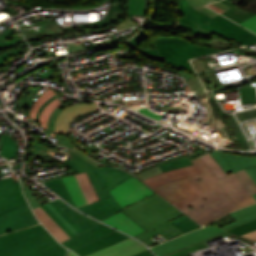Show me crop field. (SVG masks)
<instances>
[{
  "instance_id": "e52e79f7",
  "label": "crop field",
  "mask_w": 256,
  "mask_h": 256,
  "mask_svg": "<svg viewBox=\"0 0 256 256\" xmlns=\"http://www.w3.org/2000/svg\"><path fill=\"white\" fill-rule=\"evenodd\" d=\"M223 232H226V231L219 229L217 227H205L200 230H196L188 234H185L183 236H180L178 238H175L166 243L152 247L150 249L154 251L158 256H163L171 252H174L176 250H179L181 248L192 245L194 243L205 240L207 238L221 234Z\"/></svg>"
},
{
  "instance_id": "d9b57169",
  "label": "crop field",
  "mask_w": 256,
  "mask_h": 256,
  "mask_svg": "<svg viewBox=\"0 0 256 256\" xmlns=\"http://www.w3.org/2000/svg\"><path fill=\"white\" fill-rule=\"evenodd\" d=\"M113 231L114 230L99 223L94 227L90 228L89 230L71 238L70 240L62 244L73 250Z\"/></svg>"
},
{
  "instance_id": "0bd39190",
  "label": "crop field",
  "mask_w": 256,
  "mask_h": 256,
  "mask_svg": "<svg viewBox=\"0 0 256 256\" xmlns=\"http://www.w3.org/2000/svg\"><path fill=\"white\" fill-rule=\"evenodd\" d=\"M236 174L240 178V180L244 183V185L247 187V189L250 191L251 194L256 193V184L251 179V177L246 173L245 170L236 172Z\"/></svg>"
},
{
  "instance_id": "120bbe31",
  "label": "crop field",
  "mask_w": 256,
  "mask_h": 256,
  "mask_svg": "<svg viewBox=\"0 0 256 256\" xmlns=\"http://www.w3.org/2000/svg\"><path fill=\"white\" fill-rule=\"evenodd\" d=\"M229 234H231V233L226 232L224 234H221V235H218L216 237L210 238L208 240L202 241L200 243L194 244V245H192V247L189 246L187 248H184L182 250L176 251V252L171 253V254L166 255V256H187V252H189V251H193V250H197V249H200V248H204L205 247L204 243L212 241V240H215L217 238H220V237H223V236H226V235H229Z\"/></svg>"
},
{
  "instance_id": "00972430",
  "label": "crop field",
  "mask_w": 256,
  "mask_h": 256,
  "mask_svg": "<svg viewBox=\"0 0 256 256\" xmlns=\"http://www.w3.org/2000/svg\"><path fill=\"white\" fill-rule=\"evenodd\" d=\"M62 180L77 207L88 203L74 175L63 177Z\"/></svg>"
},
{
  "instance_id": "d32e631a",
  "label": "crop field",
  "mask_w": 256,
  "mask_h": 256,
  "mask_svg": "<svg viewBox=\"0 0 256 256\" xmlns=\"http://www.w3.org/2000/svg\"><path fill=\"white\" fill-rule=\"evenodd\" d=\"M61 103L59 102V100L56 98L54 99L52 102H50L45 109L41 112L40 114V125L42 127L45 128V130L48 132L47 130V120L50 116V114L52 113V111L57 108Z\"/></svg>"
},
{
  "instance_id": "1f2cbd36",
  "label": "crop field",
  "mask_w": 256,
  "mask_h": 256,
  "mask_svg": "<svg viewBox=\"0 0 256 256\" xmlns=\"http://www.w3.org/2000/svg\"><path fill=\"white\" fill-rule=\"evenodd\" d=\"M69 151L73 152L74 154L78 155L79 157L83 158L84 160H86L87 162L91 163L92 165H94L96 167L101 165V164L93 161L92 159H90L88 156H86L85 154H83L82 152H80L77 149H72V150H69Z\"/></svg>"
},
{
  "instance_id": "dafd665d",
  "label": "crop field",
  "mask_w": 256,
  "mask_h": 256,
  "mask_svg": "<svg viewBox=\"0 0 256 256\" xmlns=\"http://www.w3.org/2000/svg\"><path fill=\"white\" fill-rule=\"evenodd\" d=\"M120 15H121L120 7L112 6L108 15L100 21H96V22L88 23V24L70 26V27H63L62 29L65 32V31L71 30L73 28H89V29L103 28V27H106V26L112 24L113 22L119 20Z\"/></svg>"
},
{
  "instance_id": "733c2abd",
  "label": "crop field",
  "mask_w": 256,
  "mask_h": 256,
  "mask_svg": "<svg viewBox=\"0 0 256 256\" xmlns=\"http://www.w3.org/2000/svg\"><path fill=\"white\" fill-rule=\"evenodd\" d=\"M201 173V171L195 166H189L177 170L168 171L166 173L157 174L149 179L143 180L152 188L167 183L169 181L184 178L186 176Z\"/></svg>"
},
{
  "instance_id": "dbb93151",
  "label": "crop field",
  "mask_w": 256,
  "mask_h": 256,
  "mask_svg": "<svg viewBox=\"0 0 256 256\" xmlns=\"http://www.w3.org/2000/svg\"><path fill=\"white\" fill-rule=\"evenodd\" d=\"M136 25H138V24H136V23H134L133 21H131V20H129V19L126 18L123 23H121V24H119V25H117V26H115V27H116L117 31H119V30H121V29L130 28L131 26L134 27V26H136Z\"/></svg>"
},
{
  "instance_id": "34b2d1b8",
  "label": "crop field",
  "mask_w": 256,
  "mask_h": 256,
  "mask_svg": "<svg viewBox=\"0 0 256 256\" xmlns=\"http://www.w3.org/2000/svg\"><path fill=\"white\" fill-rule=\"evenodd\" d=\"M66 251L41 224L0 236V256H64Z\"/></svg>"
},
{
  "instance_id": "8a807250",
  "label": "crop field",
  "mask_w": 256,
  "mask_h": 256,
  "mask_svg": "<svg viewBox=\"0 0 256 256\" xmlns=\"http://www.w3.org/2000/svg\"><path fill=\"white\" fill-rule=\"evenodd\" d=\"M203 173L155 188L200 224L256 203L235 173L219 179L200 158L192 161ZM201 181L197 182L196 180Z\"/></svg>"
},
{
  "instance_id": "7b73153f",
  "label": "crop field",
  "mask_w": 256,
  "mask_h": 256,
  "mask_svg": "<svg viewBox=\"0 0 256 256\" xmlns=\"http://www.w3.org/2000/svg\"><path fill=\"white\" fill-rule=\"evenodd\" d=\"M19 40H20V38H15V39H11V40L6 41V42H2V43H0V47L6 46L7 44H11V43L19 41Z\"/></svg>"
},
{
  "instance_id": "25e5ab78",
  "label": "crop field",
  "mask_w": 256,
  "mask_h": 256,
  "mask_svg": "<svg viewBox=\"0 0 256 256\" xmlns=\"http://www.w3.org/2000/svg\"><path fill=\"white\" fill-rule=\"evenodd\" d=\"M19 50H20V48H18V49H16V50H13V51H9V52H7V53H5V54L0 55V65L6 64L5 61H6L8 58L17 56V54L19 53Z\"/></svg>"
},
{
  "instance_id": "412701ff",
  "label": "crop field",
  "mask_w": 256,
  "mask_h": 256,
  "mask_svg": "<svg viewBox=\"0 0 256 256\" xmlns=\"http://www.w3.org/2000/svg\"><path fill=\"white\" fill-rule=\"evenodd\" d=\"M67 154L68 160L65 163L79 173L84 171L87 172L100 200L110 196L109 189L117 186V184L132 176L129 173L114 167L102 166L96 168L68 151Z\"/></svg>"
},
{
  "instance_id": "d1516ede",
  "label": "crop field",
  "mask_w": 256,
  "mask_h": 256,
  "mask_svg": "<svg viewBox=\"0 0 256 256\" xmlns=\"http://www.w3.org/2000/svg\"><path fill=\"white\" fill-rule=\"evenodd\" d=\"M210 154L227 175L241 170L242 168L256 166V158L238 155L232 156L218 150L210 152Z\"/></svg>"
},
{
  "instance_id": "89e229c0",
  "label": "crop field",
  "mask_w": 256,
  "mask_h": 256,
  "mask_svg": "<svg viewBox=\"0 0 256 256\" xmlns=\"http://www.w3.org/2000/svg\"><path fill=\"white\" fill-rule=\"evenodd\" d=\"M56 138L60 141V143L67 148H74L75 146L68 140L66 135H60V134H55Z\"/></svg>"
},
{
  "instance_id": "c21b1889",
  "label": "crop field",
  "mask_w": 256,
  "mask_h": 256,
  "mask_svg": "<svg viewBox=\"0 0 256 256\" xmlns=\"http://www.w3.org/2000/svg\"><path fill=\"white\" fill-rule=\"evenodd\" d=\"M41 207L51 216V218L71 237L75 236L68 227L45 205Z\"/></svg>"
},
{
  "instance_id": "0fb4a251",
  "label": "crop field",
  "mask_w": 256,
  "mask_h": 256,
  "mask_svg": "<svg viewBox=\"0 0 256 256\" xmlns=\"http://www.w3.org/2000/svg\"><path fill=\"white\" fill-rule=\"evenodd\" d=\"M66 45H67V47H68L70 53L78 52V51L84 50L81 44L76 45L75 42L68 43V44H66Z\"/></svg>"
},
{
  "instance_id": "e1f06a70",
  "label": "crop field",
  "mask_w": 256,
  "mask_h": 256,
  "mask_svg": "<svg viewBox=\"0 0 256 256\" xmlns=\"http://www.w3.org/2000/svg\"><path fill=\"white\" fill-rule=\"evenodd\" d=\"M227 230L237 235H241V234L256 230V220L241 224L239 226H236Z\"/></svg>"
},
{
  "instance_id": "ae1a2a85",
  "label": "crop field",
  "mask_w": 256,
  "mask_h": 256,
  "mask_svg": "<svg viewBox=\"0 0 256 256\" xmlns=\"http://www.w3.org/2000/svg\"><path fill=\"white\" fill-rule=\"evenodd\" d=\"M0 138L3 144L1 156L7 159L16 158L18 145L14 138H10L7 135H2Z\"/></svg>"
},
{
  "instance_id": "ac0d7876",
  "label": "crop field",
  "mask_w": 256,
  "mask_h": 256,
  "mask_svg": "<svg viewBox=\"0 0 256 256\" xmlns=\"http://www.w3.org/2000/svg\"><path fill=\"white\" fill-rule=\"evenodd\" d=\"M125 209L121 212L147 230L136 237L149 246L156 245L151 238L158 234L167 240L184 234L168 222L183 213L157 193Z\"/></svg>"
},
{
  "instance_id": "dd49c442",
  "label": "crop field",
  "mask_w": 256,
  "mask_h": 256,
  "mask_svg": "<svg viewBox=\"0 0 256 256\" xmlns=\"http://www.w3.org/2000/svg\"><path fill=\"white\" fill-rule=\"evenodd\" d=\"M199 28L228 36L245 46L256 43V35L254 33L242 28L221 15L201 24Z\"/></svg>"
},
{
  "instance_id": "92a150f3",
  "label": "crop field",
  "mask_w": 256,
  "mask_h": 256,
  "mask_svg": "<svg viewBox=\"0 0 256 256\" xmlns=\"http://www.w3.org/2000/svg\"><path fill=\"white\" fill-rule=\"evenodd\" d=\"M39 221L54 235L61 243L69 239L68 235L50 218V216L39 206L33 209Z\"/></svg>"
},
{
  "instance_id": "cbeb9de0",
  "label": "crop field",
  "mask_w": 256,
  "mask_h": 256,
  "mask_svg": "<svg viewBox=\"0 0 256 256\" xmlns=\"http://www.w3.org/2000/svg\"><path fill=\"white\" fill-rule=\"evenodd\" d=\"M144 249V245L129 238L87 256H130Z\"/></svg>"
},
{
  "instance_id": "5a996713",
  "label": "crop field",
  "mask_w": 256,
  "mask_h": 256,
  "mask_svg": "<svg viewBox=\"0 0 256 256\" xmlns=\"http://www.w3.org/2000/svg\"><path fill=\"white\" fill-rule=\"evenodd\" d=\"M39 223L29 205H25L0 217V234Z\"/></svg>"
},
{
  "instance_id": "ae633e8c",
  "label": "crop field",
  "mask_w": 256,
  "mask_h": 256,
  "mask_svg": "<svg viewBox=\"0 0 256 256\" xmlns=\"http://www.w3.org/2000/svg\"><path fill=\"white\" fill-rule=\"evenodd\" d=\"M67 256H77V255L69 251Z\"/></svg>"
},
{
  "instance_id": "b54c1fbb",
  "label": "crop field",
  "mask_w": 256,
  "mask_h": 256,
  "mask_svg": "<svg viewBox=\"0 0 256 256\" xmlns=\"http://www.w3.org/2000/svg\"><path fill=\"white\" fill-rule=\"evenodd\" d=\"M190 88L192 91H203L204 88L197 76H192L190 79L187 80Z\"/></svg>"
},
{
  "instance_id": "1d83c4d3",
  "label": "crop field",
  "mask_w": 256,
  "mask_h": 256,
  "mask_svg": "<svg viewBox=\"0 0 256 256\" xmlns=\"http://www.w3.org/2000/svg\"><path fill=\"white\" fill-rule=\"evenodd\" d=\"M54 94L55 90L48 88L40 97L37 98L36 102L32 105L29 116H31L35 120L38 109Z\"/></svg>"
},
{
  "instance_id": "eef30255",
  "label": "crop field",
  "mask_w": 256,
  "mask_h": 256,
  "mask_svg": "<svg viewBox=\"0 0 256 256\" xmlns=\"http://www.w3.org/2000/svg\"><path fill=\"white\" fill-rule=\"evenodd\" d=\"M75 176H76L88 202L92 203V202L99 200L86 173L84 172L81 174H76Z\"/></svg>"
},
{
  "instance_id": "4177f3b9",
  "label": "crop field",
  "mask_w": 256,
  "mask_h": 256,
  "mask_svg": "<svg viewBox=\"0 0 256 256\" xmlns=\"http://www.w3.org/2000/svg\"><path fill=\"white\" fill-rule=\"evenodd\" d=\"M230 215L237 221L222 227L223 229H227L241 223L256 219V204L237 210Z\"/></svg>"
},
{
  "instance_id": "bc2a9ffb",
  "label": "crop field",
  "mask_w": 256,
  "mask_h": 256,
  "mask_svg": "<svg viewBox=\"0 0 256 256\" xmlns=\"http://www.w3.org/2000/svg\"><path fill=\"white\" fill-rule=\"evenodd\" d=\"M127 238L129 237L115 231L107 236H104L96 241H93L73 251L79 256H84Z\"/></svg>"
},
{
  "instance_id": "5142ce71",
  "label": "crop field",
  "mask_w": 256,
  "mask_h": 256,
  "mask_svg": "<svg viewBox=\"0 0 256 256\" xmlns=\"http://www.w3.org/2000/svg\"><path fill=\"white\" fill-rule=\"evenodd\" d=\"M100 220L120 211L123 210L110 196L106 199L101 201H97L92 204L85 205L81 208H78Z\"/></svg>"
},
{
  "instance_id": "78b8030e",
  "label": "crop field",
  "mask_w": 256,
  "mask_h": 256,
  "mask_svg": "<svg viewBox=\"0 0 256 256\" xmlns=\"http://www.w3.org/2000/svg\"><path fill=\"white\" fill-rule=\"evenodd\" d=\"M14 31V29H10L9 31H7L4 35H2L1 37H0V42L1 41H3L4 40V38L6 37V36H8L10 33H12ZM7 38V37H6Z\"/></svg>"
},
{
  "instance_id": "730fd06b",
  "label": "crop field",
  "mask_w": 256,
  "mask_h": 256,
  "mask_svg": "<svg viewBox=\"0 0 256 256\" xmlns=\"http://www.w3.org/2000/svg\"><path fill=\"white\" fill-rule=\"evenodd\" d=\"M222 2H224L225 4L232 7L231 9H229L228 11H226L222 14L227 16L228 18L232 19L233 21H235L237 23H239V22L247 19L248 17L256 14L254 12H250V11H246V10H242V9L238 8L236 5H234L229 0H224Z\"/></svg>"
},
{
  "instance_id": "bd1437ed",
  "label": "crop field",
  "mask_w": 256,
  "mask_h": 256,
  "mask_svg": "<svg viewBox=\"0 0 256 256\" xmlns=\"http://www.w3.org/2000/svg\"><path fill=\"white\" fill-rule=\"evenodd\" d=\"M45 184L54 192H56L58 195H60L62 198H64L67 202L71 203L76 207L74 201L72 200L70 194L68 193L66 187L63 185L60 178L48 181Z\"/></svg>"
},
{
  "instance_id": "425ffa30",
  "label": "crop field",
  "mask_w": 256,
  "mask_h": 256,
  "mask_svg": "<svg viewBox=\"0 0 256 256\" xmlns=\"http://www.w3.org/2000/svg\"><path fill=\"white\" fill-rule=\"evenodd\" d=\"M240 24L256 33V15L248 18Z\"/></svg>"
},
{
  "instance_id": "c035e120",
  "label": "crop field",
  "mask_w": 256,
  "mask_h": 256,
  "mask_svg": "<svg viewBox=\"0 0 256 256\" xmlns=\"http://www.w3.org/2000/svg\"><path fill=\"white\" fill-rule=\"evenodd\" d=\"M209 167L211 166L213 171L217 174L219 178L226 176L223 170L219 167L217 162L210 156V154H206L200 157Z\"/></svg>"
},
{
  "instance_id": "d14b1444",
  "label": "crop field",
  "mask_w": 256,
  "mask_h": 256,
  "mask_svg": "<svg viewBox=\"0 0 256 256\" xmlns=\"http://www.w3.org/2000/svg\"><path fill=\"white\" fill-rule=\"evenodd\" d=\"M9 29H10V28H9ZM9 29H7V30H9ZM7 30H6V31H7ZM6 31L2 32V33L0 34V36H1L3 33H5Z\"/></svg>"
},
{
  "instance_id": "d23c7cc5",
  "label": "crop field",
  "mask_w": 256,
  "mask_h": 256,
  "mask_svg": "<svg viewBox=\"0 0 256 256\" xmlns=\"http://www.w3.org/2000/svg\"><path fill=\"white\" fill-rule=\"evenodd\" d=\"M51 203L54 208L66 219L68 220L79 232H83V230L54 202Z\"/></svg>"
},
{
  "instance_id": "03da06ac",
  "label": "crop field",
  "mask_w": 256,
  "mask_h": 256,
  "mask_svg": "<svg viewBox=\"0 0 256 256\" xmlns=\"http://www.w3.org/2000/svg\"><path fill=\"white\" fill-rule=\"evenodd\" d=\"M161 172H162L161 169L158 166H156L154 168L142 171V172L136 174V176L138 178H140L141 180H143V179L149 178V177H151L157 173H161Z\"/></svg>"
},
{
  "instance_id": "d8731c3e",
  "label": "crop field",
  "mask_w": 256,
  "mask_h": 256,
  "mask_svg": "<svg viewBox=\"0 0 256 256\" xmlns=\"http://www.w3.org/2000/svg\"><path fill=\"white\" fill-rule=\"evenodd\" d=\"M109 191L122 208L156 193L134 176Z\"/></svg>"
},
{
  "instance_id": "750c4746",
  "label": "crop field",
  "mask_w": 256,
  "mask_h": 256,
  "mask_svg": "<svg viewBox=\"0 0 256 256\" xmlns=\"http://www.w3.org/2000/svg\"><path fill=\"white\" fill-rule=\"evenodd\" d=\"M174 226H176L178 229L183 231L184 233L194 230L196 228H200L202 226L198 225L195 221L188 218L185 214L169 221Z\"/></svg>"
},
{
  "instance_id": "a9b5d70f",
  "label": "crop field",
  "mask_w": 256,
  "mask_h": 256,
  "mask_svg": "<svg viewBox=\"0 0 256 256\" xmlns=\"http://www.w3.org/2000/svg\"><path fill=\"white\" fill-rule=\"evenodd\" d=\"M55 202L85 231L94 226L98 222L91 220L90 218L79 214L74 209L57 199Z\"/></svg>"
},
{
  "instance_id": "9d1cf04e",
  "label": "crop field",
  "mask_w": 256,
  "mask_h": 256,
  "mask_svg": "<svg viewBox=\"0 0 256 256\" xmlns=\"http://www.w3.org/2000/svg\"><path fill=\"white\" fill-rule=\"evenodd\" d=\"M213 5H215V6L219 7V8H221V9H223V10H225V11L228 10L229 8H231V7L225 5L224 3L220 2V1L214 3Z\"/></svg>"
},
{
  "instance_id": "447ae74e",
  "label": "crop field",
  "mask_w": 256,
  "mask_h": 256,
  "mask_svg": "<svg viewBox=\"0 0 256 256\" xmlns=\"http://www.w3.org/2000/svg\"><path fill=\"white\" fill-rule=\"evenodd\" d=\"M241 236L246 237V238H250V239H253V240H256V231H253V232L241 235Z\"/></svg>"
},
{
  "instance_id": "f4fd0767",
  "label": "crop field",
  "mask_w": 256,
  "mask_h": 256,
  "mask_svg": "<svg viewBox=\"0 0 256 256\" xmlns=\"http://www.w3.org/2000/svg\"><path fill=\"white\" fill-rule=\"evenodd\" d=\"M157 48L166 61V65L180 68L193 73L195 72L188 59L220 52L214 48L194 47L189 43H164L158 44Z\"/></svg>"
},
{
  "instance_id": "73cf0c24",
  "label": "crop field",
  "mask_w": 256,
  "mask_h": 256,
  "mask_svg": "<svg viewBox=\"0 0 256 256\" xmlns=\"http://www.w3.org/2000/svg\"><path fill=\"white\" fill-rule=\"evenodd\" d=\"M68 227L69 229L76 235L79 232L69 223L67 222L54 208L51 204H46Z\"/></svg>"
},
{
  "instance_id": "d3111659",
  "label": "crop field",
  "mask_w": 256,
  "mask_h": 256,
  "mask_svg": "<svg viewBox=\"0 0 256 256\" xmlns=\"http://www.w3.org/2000/svg\"><path fill=\"white\" fill-rule=\"evenodd\" d=\"M44 145V144H43ZM41 145L37 140H34L33 141V144H32V150H31V157L32 158H35V157H40V156H49L51 158L54 157L55 153L58 152V153H61L63 155H66L65 152H62L60 149L61 147L57 146V148L60 150H56V149H49L45 146ZM55 159V158H54ZM63 162V161H62Z\"/></svg>"
},
{
  "instance_id": "0f1d7ab4",
  "label": "crop field",
  "mask_w": 256,
  "mask_h": 256,
  "mask_svg": "<svg viewBox=\"0 0 256 256\" xmlns=\"http://www.w3.org/2000/svg\"><path fill=\"white\" fill-rule=\"evenodd\" d=\"M25 204H27V202H25V203H23V204H20V205H18V206H16V207H14V208H12V209L6 211V212L1 213L0 216L3 215V214H5V213H7V212H10V211H12V210L18 208V207H21V206H23V205H25Z\"/></svg>"
},
{
  "instance_id": "22f410ed",
  "label": "crop field",
  "mask_w": 256,
  "mask_h": 256,
  "mask_svg": "<svg viewBox=\"0 0 256 256\" xmlns=\"http://www.w3.org/2000/svg\"><path fill=\"white\" fill-rule=\"evenodd\" d=\"M96 109H98V107L95 103L90 106L79 104L64 109L56 120L55 133L67 134L69 125L75 117Z\"/></svg>"
},
{
  "instance_id": "0765c3eb",
  "label": "crop field",
  "mask_w": 256,
  "mask_h": 256,
  "mask_svg": "<svg viewBox=\"0 0 256 256\" xmlns=\"http://www.w3.org/2000/svg\"><path fill=\"white\" fill-rule=\"evenodd\" d=\"M133 256H153V255L149 252L148 249H146V250H144L142 252H139V253H137V254H135Z\"/></svg>"
},
{
  "instance_id": "4a817a6b",
  "label": "crop field",
  "mask_w": 256,
  "mask_h": 256,
  "mask_svg": "<svg viewBox=\"0 0 256 256\" xmlns=\"http://www.w3.org/2000/svg\"><path fill=\"white\" fill-rule=\"evenodd\" d=\"M147 35H148L147 33H145L144 31H141L137 36L133 37L130 41L126 42L125 44L130 46L131 48L135 49L136 51L140 52L141 54H143L144 56H146L148 58H152V59L162 61V62H165L166 60L163 59L159 55V53L156 49V44L164 43V42H187L183 39H178V38H174V37H161L154 41L155 50L136 47L140 41H142L143 39H145L147 37Z\"/></svg>"
},
{
  "instance_id": "e1d0b9f6",
  "label": "crop field",
  "mask_w": 256,
  "mask_h": 256,
  "mask_svg": "<svg viewBox=\"0 0 256 256\" xmlns=\"http://www.w3.org/2000/svg\"><path fill=\"white\" fill-rule=\"evenodd\" d=\"M208 6L211 7L212 9H214V10L220 12V13L224 12L223 10H221V9H219V8H217V7L213 6V5H211V4H209Z\"/></svg>"
},
{
  "instance_id": "028f5c9d",
  "label": "crop field",
  "mask_w": 256,
  "mask_h": 256,
  "mask_svg": "<svg viewBox=\"0 0 256 256\" xmlns=\"http://www.w3.org/2000/svg\"><path fill=\"white\" fill-rule=\"evenodd\" d=\"M195 9L209 15L211 18L218 15L216 12L206 8L202 7L208 3L215 2L217 0H187Z\"/></svg>"
},
{
  "instance_id": "db79e9e6",
  "label": "crop field",
  "mask_w": 256,
  "mask_h": 256,
  "mask_svg": "<svg viewBox=\"0 0 256 256\" xmlns=\"http://www.w3.org/2000/svg\"><path fill=\"white\" fill-rule=\"evenodd\" d=\"M54 98H56V94H55L50 100H48L47 102H45V103L42 105V107L39 109V112H38L36 121H38L40 112H41V111L44 109V107H45L50 101H52Z\"/></svg>"
},
{
  "instance_id": "3316defc",
  "label": "crop field",
  "mask_w": 256,
  "mask_h": 256,
  "mask_svg": "<svg viewBox=\"0 0 256 256\" xmlns=\"http://www.w3.org/2000/svg\"><path fill=\"white\" fill-rule=\"evenodd\" d=\"M25 201L20 182L15 183L10 177L0 180V212Z\"/></svg>"
},
{
  "instance_id": "c39391a2",
  "label": "crop field",
  "mask_w": 256,
  "mask_h": 256,
  "mask_svg": "<svg viewBox=\"0 0 256 256\" xmlns=\"http://www.w3.org/2000/svg\"><path fill=\"white\" fill-rule=\"evenodd\" d=\"M253 196H254V198L256 199V194H254Z\"/></svg>"
},
{
  "instance_id": "ade564c9",
  "label": "crop field",
  "mask_w": 256,
  "mask_h": 256,
  "mask_svg": "<svg viewBox=\"0 0 256 256\" xmlns=\"http://www.w3.org/2000/svg\"><path fill=\"white\" fill-rule=\"evenodd\" d=\"M5 41V40H4Z\"/></svg>"
},
{
  "instance_id": "5866460e",
  "label": "crop field",
  "mask_w": 256,
  "mask_h": 256,
  "mask_svg": "<svg viewBox=\"0 0 256 256\" xmlns=\"http://www.w3.org/2000/svg\"><path fill=\"white\" fill-rule=\"evenodd\" d=\"M188 165H192V163L188 158L183 157V158L169 161L167 163L159 164L158 166L163 170V172H166L168 170H172V169H176V168H180Z\"/></svg>"
},
{
  "instance_id": "28ad6ade",
  "label": "crop field",
  "mask_w": 256,
  "mask_h": 256,
  "mask_svg": "<svg viewBox=\"0 0 256 256\" xmlns=\"http://www.w3.org/2000/svg\"><path fill=\"white\" fill-rule=\"evenodd\" d=\"M179 12L185 17L179 19L182 27L199 34L210 33L208 31L197 28L202 22L210 19V17L196 11L186 0H177Z\"/></svg>"
},
{
  "instance_id": "b80d0937",
  "label": "crop field",
  "mask_w": 256,
  "mask_h": 256,
  "mask_svg": "<svg viewBox=\"0 0 256 256\" xmlns=\"http://www.w3.org/2000/svg\"><path fill=\"white\" fill-rule=\"evenodd\" d=\"M40 88L41 86H35L29 94L25 93L24 95H22L21 99L18 101V108L30 107L31 104L34 102L32 97Z\"/></svg>"
},
{
  "instance_id": "214f88e0",
  "label": "crop field",
  "mask_w": 256,
  "mask_h": 256,
  "mask_svg": "<svg viewBox=\"0 0 256 256\" xmlns=\"http://www.w3.org/2000/svg\"><path fill=\"white\" fill-rule=\"evenodd\" d=\"M102 222L122 230L132 236L145 231L121 212L103 220Z\"/></svg>"
},
{
  "instance_id": "1d79db26",
  "label": "crop field",
  "mask_w": 256,
  "mask_h": 256,
  "mask_svg": "<svg viewBox=\"0 0 256 256\" xmlns=\"http://www.w3.org/2000/svg\"><path fill=\"white\" fill-rule=\"evenodd\" d=\"M247 173L252 177V179L256 182V167L245 169Z\"/></svg>"
},
{
  "instance_id": "5d738f31",
  "label": "crop field",
  "mask_w": 256,
  "mask_h": 256,
  "mask_svg": "<svg viewBox=\"0 0 256 256\" xmlns=\"http://www.w3.org/2000/svg\"><path fill=\"white\" fill-rule=\"evenodd\" d=\"M61 111H62V109L57 108L51 114V116H50V118L48 120V130H49V133H54V122H55L56 118L58 117V115L60 114ZM49 133H47L46 135L50 136Z\"/></svg>"
}]
</instances>
